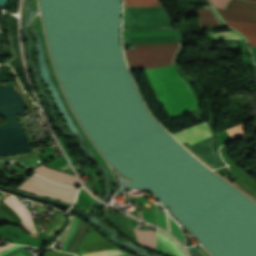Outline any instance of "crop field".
I'll return each instance as SVG.
<instances>
[{
	"instance_id": "eef30255",
	"label": "crop field",
	"mask_w": 256,
	"mask_h": 256,
	"mask_svg": "<svg viewBox=\"0 0 256 256\" xmlns=\"http://www.w3.org/2000/svg\"><path fill=\"white\" fill-rule=\"evenodd\" d=\"M172 49H179V48H172ZM151 50H171V49H151ZM151 50H124V51L132 52V51H151Z\"/></svg>"
},
{
	"instance_id": "00972430",
	"label": "crop field",
	"mask_w": 256,
	"mask_h": 256,
	"mask_svg": "<svg viewBox=\"0 0 256 256\" xmlns=\"http://www.w3.org/2000/svg\"><path fill=\"white\" fill-rule=\"evenodd\" d=\"M212 36L214 37V39H239V38H241L235 32L222 33V34H212Z\"/></svg>"
},
{
	"instance_id": "d3111659",
	"label": "crop field",
	"mask_w": 256,
	"mask_h": 256,
	"mask_svg": "<svg viewBox=\"0 0 256 256\" xmlns=\"http://www.w3.org/2000/svg\"><path fill=\"white\" fill-rule=\"evenodd\" d=\"M253 67H254V73H255V77H256V66L253 65Z\"/></svg>"
},
{
	"instance_id": "d9b57169",
	"label": "crop field",
	"mask_w": 256,
	"mask_h": 256,
	"mask_svg": "<svg viewBox=\"0 0 256 256\" xmlns=\"http://www.w3.org/2000/svg\"><path fill=\"white\" fill-rule=\"evenodd\" d=\"M1 223L21 224L20 217L14 213L4 202L0 203V224Z\"/></svg>"
},
{
	"instance_id": "dd49c442",
	"label": "crop field",
	"mask_w": 256,
	"mask_h": 256,
	"mask_svg": "<svg viewBox=\"0 0 256 256\" xmlns=\"http://www.w3.org/2000/svg\"><path fill=\"white\" fill-rule=\"evenodd\" d=\"M71 219H72V221H71L70 225L58 239V241L63 242L61 247L59 248L60 251H64V252L67 251V249H68V247L78 229V226L81 222L76 217H72ZM87 228H88V226L85 223L81 222L80 227L77 231V234H76L68 252L75 253V254L77 253V250L87 232Z\"/></svg>"
},
{
	"instance_id": "d8731c3e",
	"label": "crop field",
	"mask_w": 256,
	"mask_h": 256,
	"mask_svg": "<svg viewBox=\"0 0 256 256\" xmlns=\"http://www.w3.org/2000/svg\"><path fill=\"white\" fill-rule=\"evenodd\" d=\"M195 154H197L202 160L211 165L214 169L221 167L213 148L212 137L197 144L189 147Z\"/></svg>"
},
{
	"instance_id": "bc2a9ffb",
	"label": "crop field",
	"mask_w": 256,
	"mask_h": 256,
	"mask_svg": "<svg viewBox=\"0 0 256 256\" xmlns=\"http://www.w3.org/2000/svg\"><path fill=\"white\" fill-rule=\"evenodd\" d=\"M124 6H160L157 0H124Z\"/></svg>"
},
{
	"instance_id": "214f88e0",
	"label": "crop field",
	"mask_w": 256,
	"mask_h": 256,
	"mask_svg": "<svg viewBox=\"0 0 256 256\" xmlns=\"http://www.w3.org/2000/svg\"><path fill=\"white\" fill-rule=\"evenodd\" d=\"M243 124L227 129V132L229 133V135L232 137L233 140L241 136H245V133L243 131Z\"/></svg>"
},
{
	"instance_id": "28ad6ade",
	"label": "crop field",
	"mask_w": 256,
	"mask_h": 256,
	"mask_svg": "<svg viewBox=\"0 0 256 256\" xmlns=\"http://www.w3.org/2000/svg\"><path fill=\"white\" fill-rule=\"evenodd\" d=\"M179 42L178 35L123 38V44Z\"/></svg>"
},
{
	"instance_id": "ae1a2a85",
	"label": "crop field",
	"mask_w": 256,
	"mask_h": 256,
	"mask_svg": "<svg viewBox=\"0 0 256 256\" xmlns=\"http://www.w3.org/2000/svg\"><path fill=\"white\" fill-rule=\"evenodd\" d=\"M139 217L143 219L141 211L138 212Z\"/></svg>"
},
{
	"instance_id": "8a807250",
	"label": "crop field",
	"mask_w": 256,
	"mask_h": 256,
	"mask_svg": "<svg viewBox=\"0 0 256 256\" xmlns=\"http://www.w3.org/2000/svg\"><path fill=\"white\" fill-rule=\"evenodd\" d=\"M144 70L169 119L199 108L188 81L176 71L174 65Z\"/></svg>"
},
{
	"instance_id": "730fd06b",
	"label": "crop field",
	"mask_w": 256,
	"mask_h": 256,
	"mask_svg": "<svg viewBox=\"0 0 256 256\" xmlns=\"http://www.w3.org/2000/svg\"><path fill=\"white\" fill-rule=\"evenodd\" d=\"M23 252V254L25 255V256H34L32 253H28L27 251H22ZM22 252H20V253H18V254H16V255H14V256H24L23 254H22Z\"/></svg>"
},
{
	"instance_id": "733c2abd",
	"label": "crop field",
	"mask_w": 256,
	"mask_h": 256,
	"mask_svg": "<svg viewBox=\"0 0 256 256\" xmlns=\"http://www.w3.org/2000/svg\"><path fill=\"white\" fill-rule=\"evenodd\" d=\"M93 202V199L86 194L84 191H80L78 194V200L77 205L85 209L86 211L89 210L91 204Z\"/></svg>"
},
{
	"instance_id": "cbeb9de0",
	"label": "crop field",
	"mask_w": 256,
	"mask_h": 256,
	"mask_svg": "<svg viewBox=\"0 0 256 256\" xmlns=\"http://www.w3.org/2000/svg\"><path fill=\"white\" fill-rule=\"evenodd\" d=\"M137 236L138 243L156 251V234L152 231L139 230L133 228Z\"/></svg>"
},
{
	"instance_id": "a9b5d70f",
	"label": "crop field",
	"mask_w": 256,
	"mask_h": 256,
	"mask_svg": "<svg viewBox=\"0 0 256 256\" xmlns=\"http://www.w3.org/2000/svg\"><path fill=\"white\" fill-rule=\"evenodd\" d=\"M209 1H210L215 7L224 9L226 3H227L229 0H209ZM247 1L256 2V0H247Z\"/></svg>"
},
{
	"instance_id": "92a150f3",
	"label": "crop field",
	"mask_w": 256,
	"mask_h": 256,
	"mask_svg": "<svg viewBox=\"0 0 256 256\" xmlns=\"http://www.w3.org/2000/svg\"><path fill=\"white\" fill-rule=\"evenodd\" d=\"M134 49L138 48H171V47H181L180 43H170V44H152V45H133Z\"/></svg>"
},
{
	"instance_id": "4a817a6b",
	"label": "crop field",
	"mask_w": 256,
	"mask_h": 256,
	"mask_svg": "<svg viewBox=\"0 0 256 256\" xmlns=\"http://www.w3.org/2000/svg\"><path fill=\"white\" fill-rule=\"evenodd\" d=\"M77 256H130V255H128L118 249H113V250H107V251L81 254V255H77Z\"/></svg>"
},
{
	"instance_id": "5142ce71",
	"label": "crop field",
	"mask_w": 256,
	"mask_h": 256,
	"mask_svg": "<svg viewBox=\"0 0 256 256\" xmlns=\"http://www.w3.org/2000/svg\"><path fill=\"white\" fill-rule=\"evenodd\" d=\"M196 14L199 27L220 25L212 10L196 11Z\"/></svg>"
},
{
	"instance_id": "4177f3b9",
	"label": "crop field",
	"mask_w": 256,
	"mask_h": 256,
	"mask_svg": "<svg viewBox=\"0 0 256 256\" xmlns=\"http://www.w3.org/2000/svg\"><path fill=\"white\" fill-rule=\"evenodd\" d=\"M46 256H74V255H72V254H67V253L57 252V253H55V254L46 253Z\"/></svg>"
},
{
	"instance_id": "750c4746",
	"label": "crop field",
	"mask_w": 256,
	"mask_h": 256,
	"mask_svg": "<svg viewBox=\"0 0 256 256\" xmlns=\"http://www.w3.org/2000/svg\"><path fill=\"white\" fill-rule=\"evenodd\" d=\"M1 201V200H0Z\"/></svg>"
},
{
	"instance_id": "412701ff",
	"label": "crop field",
	"mask_w": 256,
	"mask_h": 256,
	"mask_svg": "<svg viewBox=\"0 0 256 256\" xmlns=\"http://www.w3.org/2000/svg\"><path fill=\"white\" fill-rule=\"evenodd\" d=\"M179 50L125 53L129 69L153 68L174 64Z\"/></svg>"
},
{
	"instance_id": "34b2d1b8",
	"label": "crop field",
	"mask_w": 256,
	"mask_h": 256,
	"mask_svg": "<svg viewBox=\"0 0 256 256\" xmlns=\"http://www.w3.org/2000/svg\"><path fill=\"white\" fill-rule=\"evenodd\" d=\"M19 189L72 203L76 188L66 187L43 180L35 175L30 177Z\"/></svg>"
},
{
	"instance_id": "ac0d7876",
	"label": "crop field",
	"mask_w": 256,
	"mask_h": 256,
	"mask_svg": "<svg viewBox=\"0 0 256 256\" xmlns=\"http://www.w3.org/2000/svg\"><path fill=\"white\" fill-rule=\"evenodd\" d=\"M171 17L162 7H124L123 28L128 32L180 31L170 29Z\"/></svg>"
},
{
	"instance_id": "dafd665d",
	"label": "crop field",
	"mask_w": 256,
	"mask_h": 256,
	"mask_svg": "<svg viewBox=\"0 0 256 256\" xmlns=\"http://www.w3.org/2000/svg\"><path fill=\"white\" fill-rule=\"evenodd\" d=\"M229 50H244L241 39L239 40H224Z\"/></svg>"
},
{
	"instance_id": "d1516ede",
	"label": "crop field",
	"mask_w": 256,
	"mask_h": 256,
	"mask_svg": "<svg viewBox=\"0 0 256 256\" xmlns=\"http://www.w3.org/2000/svg\"><path fill=\"white\" fill-rule=\"evenodd\" d=\"M225 22L242 33L247 38L249 45H256V25L231 21Z\"/></svg>"
},
{
	"instance_id": "f4fd0767",
	"label": "crop field",
	"mask_w": 256,
	"mask_h": 256,
	"mask_svg": "<svg viewBox=\"0 0 256 256\" xmlns=\"http://www.w3.org/2000/svg\"><path fill=\"white\" fill-rule=\"evenodd\" d=\"M217 11L222 15L224 20L256 24V3L231 0L225 11L219 9Z\"/></svg>"
},
{
	"instance_id": "5a996713",
	"label": "crop field",
	"mask_w": 256,
	"mask_h": 256,
	"mask_svg": "<svg viewBox=\"0 0 256 256\" xmlns=\"http://www.w3.org/2000/svg\"><path fill=\"white\" fill-rule=\"evenodd\" d=\"M33 171H35L40 176H42L46 179L53 180L57 183L70 185V186H74V187H76V185L78 184V180H77L76 176L70 175L67 173H63L60 171H56L53 169H49V168H46L43 166H41Z\"/></svg>"
},
{
	"instance_id": "22f410ed",
	"label": "crop field",
	"mask_w": 256,
	"mask_h": 256,
	"mask_svg": "<svg viewBox=\"0 0 256 256\" xmlns=\"http://www.w3.org/2000/svg\"><path fill=\"white\" fill-rule=\"evenodd\" d=\"M155 213H156V218H157V224L160 226H162V224H163V228L169 230L182 243H184V238L182 236L180 228L168 217L167 213L161 214L162 224H161V217H160V214H158L157 207H155Z\"/></svg>"
},
{
	"instance_id": "e52e79f7",
	"label": "crop field",
	"mask_w": 256,
	"mask_h": 256,
	"mask_svg": "<svg viewBox=\"0 0 256 256\" xmlns=\"http://www.w3.org/2000/svg\"><path fill=\"white\" fill-rule=\"evenodd\" d=\"M211 135L207 122L173 134L180 143L187 141L190 145Z\"/></svg>"
},
{
	"instance_id": "3316defc",
	"label": "crop field",
	"mask_w": 256,
	"mask_h": 256,
	"mask_svg": "<svg viewBox=\"0 0 256 256\" xmlns=\"http://www.w3.org/2000/svg\"><path fill=\"white\" fill-rule=\"evenodd\" d=\"M113 248L115 247L104 241L95 231H91L88 233L79 254Z\"/></svg>"
}]
</instances>
